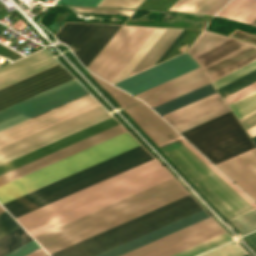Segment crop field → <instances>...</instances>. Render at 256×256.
<instances>
[{
	"label": "crop field",
	"instance_id": "1",
	"mask_svg": "<svg viewBox=\"0 0 256 256\" xmlns=\"http://www.w3.org/2000/svg\"><path fill=\"white\" fill-rule=\"evenodd\" d=\"M186 195L188 193L171 178L35 239L51 254ZM200 210L202 208L188 195L51 256H95Z\"/></svg>",
	"mask_w": 256,
	"mask_h": 256
},
{
	"label": "crop field",
	"instance_id": "2",
	"mask_svg": "<svg viewBox=\"0 0 256 256\" xmlns=\"http://www.w3.org/2000/svg\"><path fill=\"white\" fill-rule=\"evenodd\" d=\"M137 145H139V143L125 132L1 185L0 203L3 204ZM151 159H153V157L139 145L7 202L3 204V206L16 218Z\"/></svg>",
	"mask_w": 256,
	"mask_h": 256
},
{
	"label": "crop field",
	"instance_id": "3",
	"mask_svg": "<svg viewBox=\"0 0 256 256\" xmlns=\"http://www.w3.org/2000/svg\"><path fill=\"white\" fill-rule=\"evenodd\" d=\"M90 75L111 94L152 141L174 132L143 102ZM154 143L228 220L256 209V204L176 132Z\"/></svg>",
	"mask_w": 256,
	"mask_h": 256
},
{
	"label": "crop field",
	"instance_id": "4",
	"mask_svg": "<svg viewBox=\"0 0 256 256\" xmlns=\"http://www.w3.org/2000/svg\"><path fill=\"white\" fill-rule=\"evenodd\" d=\"M169 178L153 159L16 220L35 237Z\"/></svg>",
	"mask_w": 256,
	"mask_h": 256
},
{
	"label": "crop field",
	"instance_id": "5",
	"mask_svg": "<svg viewBox=\"0 0 256 256\" xmlns=\"http://www.w3.org/2000/svg\"><path fill=\"white\" fill-rule=\"evenodd\" d=\"M99 106L85 95L0 132V148ZM111 117L101 106L0 149V165Z\"/></svg>",
	"mask_w": 256,
	"mask_h": 256
},
{
	"label": "crop field",
	"instance_id": "6",
	"mask_svg": "<svg viewBox=\"0 0 256 256\" xmlns=\"http://www.w3.org/2000/svg\"><path fill=\"white\" fill-rule=\"evenodd\" d=\"M207 217L202 210L97 256H119ZM222 233L224 231L209 217L121 256H171Z\"/></svg>",
	"mask_w": 256,
	"mask_h": 256
},
{
	"label": "crop field",
	"instance_id": "7",
	"mask_svg": "<svg viewBox=\"0 0 256 256\" xmlns=\"http://www.w3.org/2000/svg\"><path fill=\"white\" fill-rule=\"evenodd\" d=\"M58 64L45 49L0 68V88ZM73 77L56 65L24 80L0 89V110L62 84Z\"/></svg>",
	"mask_w": 256,
	"mask_h": 256
},
{
	"label": "crop field",
	"instance_id": "8",
	"mask_svg": "<svg viewBox=\"0 0 256 256\" xmlns=\"http://www.w3.org/2000/svg\"><path fill=\"white\" fill-rule=\"evenodd\" d=\"M118 125L111 117L0 166V175ZM125 132L120 125L0 176V185Z\"/></svg>",
	"mask_w": 256,
	"mask_h": 256
},
{
	"label": "crop field",
	"instance_id": "9",
	"mask_svg": "<svg viewBox=\"0 0 256 256\" xmlns=\"http://www.w3.org/2000/svg\"><path fill=\"white\" fill-rule=\"evenodd\" d=\"M181 134L215 164L254 148L231 111Z\"/></svg>",
	"mask_w": 256,
	"mask_h": 256
},
{
	"label": "crop field",
	"instance_id": "10",
	"mask_svg": "<svg viewBox=\"0 0 256 256\" xmlns=\"http://www.w3.org/2000/svg\"><path fill=\"white\" fill-rule=\"evenodd\" d=\"M195 70V69H194ZM188 73V72H187ZM209 83L201 68L136 95L151 107ZM215 93L211 84L153 107L161 116Z\"/></svg>",
	"mask_w": 256,
	"mask_h": 256
},
{
	"label": "crop field",
	"instance_id": "11",
	"mask_svg": "<svg viewBox=\"0 0 256 256\" xmlns=\"http://www.w3.org/2000/svg\"><path fill=\"white\" fill-rule=\"evenodd\" d=\"M155 29L123 26L89 69L112 82Z\"/></svg>",
	"mask_w": 256,
	"mask_h": 256
},
{
	"label": "crop field",
	"instance_id": "12",
	"mask_svg": "<svg viewBox=\"0 0 256 256\" xmlns=\"http://www.w3.org/2000/svg\"><path fill=\"white\" fill-rule=\"evenodd\" d=\"M87 94L71 80L0 111V131Z\"/></svg>",
	"mask_w": 256,
	"mask_h": 256
},
{
	"label": "crop field",
	"instance_id": "13",
	"mask_svg": "<svg viewBox=\"0 0 256 256\" xmlns=\"http://www.w3.org/2000/svg\"><path fill=\"white\" fill-rule=\"evenodd\" d=\"M192 57L212 82L256 60V46L228 38Z\"/></svg>",
	"mask_w": 256,
	"mask_h": 256
},
{
	"label": "crop field",
	"instance_id": "14",
	"mask_svg": "<svg viewBox=\"0 0 256 256\" xmlns=\"http://www.w3.org/2000/svg\"><path fill=\"white\" fill-rule=\"evenodd\" d=\"M120 26L66 23L55 36L61 42L66 43L87 66Z\"/></svg>",
	"mask_w": 256,
	"mask_h": 256
},
{
	"label": "crop field",
	"instance_id": "15",
	"mask_svg": "<svg viewBox=\"0 0 256 256\" xmlns=\"http://www.w3.org/2000/svg\"><path fill=\"white\" fill-rule=\"evenodd\" d=\"M199 68L195 61L186 53L139 74L129 77L115 85L136 95L187 72Z\"/></svg>",
	"mask_w": 256,
	"mask_h": 256
},
{
	"label": "crop field",
	"instance_id": "16",
	"mask_svg": "<svg viewBox=\"0 0 256 256\" xmlns=\"http://www.w3.org/2000/svg\"><path fill=\"white\" fill-rule=\"evenodd\" d=\"M217 95V93L208 96L202 100H199L195 103H192L186 107H183L179 110H176L170 114H167L165 116H163V118L172 115L178 111H181L185 108H188L194 104H197L201 101H204L210 97H213ZM229 111V108L226 106V104L223 102V100L220 98L219 95L210 98L204 102H201L197 105H194L188 109H185L181 112H178L172 116H169L167 118H165L176 130H178L179 132L188 129L192 126H195L199 123H202L208 119H211L215 116H218L222 113H225Z\"/></svg>",
	"mask_w": 256,
	"mask_h": 256
},
{
	"label": "crop field",
	"instance_id": "17",
	"mask_svg": "<svg viewBox=\"0 0 256 256\" xmlns=\"http://www.w3.org/2000/svg\"><path fill=\"white\" fill-rule=\"evenodd\" d=\"M247 194L256 200V149L217 164ZM254 200V201H255Z\"/></svg>",
	"mask_w": 256,
	"mask_h": 256
},
{
	"label": "crop field",
	"instance_id": "18",
	"mask_svg": "<svg viewBox=\"0 0 256 256\" xmlns=\"http://www.w3.org/2000/svg\"><path fill=\"white\" fill-rule=\"evenodd\" d=\"M218 15L250 24L256 18V0H231Z\"/></svg>",
	"mask_w": 256,
	"mask_h": 256
},
{
	"label": "crop field",
	"instance_id": "19",
	"mask_svg": "<svg viewBox=\"0 0 256 256\" xmlns=\"http://www.w3.org/2000/svg\"><path fill=\"white\" fill-rule=\"evenodd\" d=\"M182 30L167 29L166 32L161 36L157 43L150 49L130 75L148 68L150 65L157 62L169 45L174 39L180 34ZM129 75V76H130Z\"/></svg>",
	"mask_w": 256,
	"mask_h": 256
},
{
	"label": "crop field",
	"instance_id": "20",
	"mask_svg": "<svg viewBox=\"0 0 256 256\" xmlns=\"http://www.w3.org/2000/svg\"><path fill=\"white\" fill-rule=\"evenodd\" d=\"M33 240L21 227L0 238V256Z\"/></svg>",
	"mask_w": 256,
	"mask_h": 256
},
{
	"label": "crop field",
	"instance_id": "21",
	"mask_svg": "<svg viewBox=\"0 0 256 256\" xmlns=\"http://www.w3.org/2000/svg\"><path fill=\"white\" fill-rule=\"evenodd\" d=\"M166 29L157 28L155 32L150 36V38L145 42V44L140 48V50L135 54V56L130 60V62L125 66V68L120 72V74L115 78L113 83L125 78L137 65V63L142 59L146 52L151 48V46L159 39V37L164 33Z\"/></svg>",
	"mask_w": 256,
	"mask_h": 256
},
{
	"label": "crop field",
	"instance_id": "22",
	"mask_svg": "<svg viewBox=\"0 0 256 256\" xmlns=\"http://www.w3.org/2000/svg\"><path fill=\"white\" fill-rule=\"evenodd\" d=\"M228 106L239 120L256 111V92Z\"/></svg>",
	"mask_w": 256,
	"mask_h": 256
},
{
	"label": "crop field",
	"instance_id": "23",
	"mask_svg": "<svg viewBox=\"0 0 256 256\" xmlns=\"http://www.w3.org/2000/svg\"><path fill=\"white\" fill-rule=\"evenodd\" d=\"M230 240H233V239H231L226 233H224L220 236H217L213 239H210L206 242H203V243H201L197 246H194L190 249H187V250H185L183 252H180V253H178L176 255H173V256H196V255H198L202 252H205L209 249H212V248H214L216 246H219L223 243H226Z\"/></svg>",
	"mask_w": 256,
	"mask_h": 256
},
{
	"label": "crop field",
	"instance_id": "24",
	"mask_svg": "<svg viewBox=\"0 0 256 256\" xmlns=\"http://www.w3.org/2000/svg\"><path fill=\"white\" fill-rule=\"evenodd\" d=\"M226 38L227 37L204 30V32L201 34L192 48L188 51V53L190 55H194Z\"/></svg>",
	"mask_w": 256,
	"mask_h": 256
},
{
	"label": "crop field",
	"instance_id": "25",
	"mask_svg": "<svg viewBox=\"0 0 256 256\" xmlns=\"http://www.w3.org/2000/svg\"><path fill=\"white\" fill-rule=\"evenodd\" d=\"M234 227L242 234L256 230V210L230 220Z\"/></svg>",
	"mask_w": 256,
	"mask_h": 256
},
{
	"label": "crop field",
	"instance_id": "26",
	"mask_svg": "<svg viewBox=\"0 0 256 256\" xmlns=\"http://www.w3.org/2000/svg\"><path fill=\"white\" fill-rule=\"evenodd\" d=\"M256 81V70L217 89L218 93L221 95V97H225L253 82Z\"/></svg>",
	"mask_w": 256,
	"mask_h": 256
},
{
	"label": "crop field",
	"instance_id": "27",
	"mask_svg": "<svg viewBox=\"0 0 256 256\" xmlns=\"http://www.w3.org/2000/svg\"><path fill=\"white\" fill-rule=\"evenodd\" d=\"M246 252L236 243L232 242L202 256H242ZM244 256H249L248 254Z\"/></svg>",
	"mask_w": 256,
	"mask_h": 256
},
{
	"label": "crop field",
	"instance_id": "28",
	"mask_svg": "<svg viewBox=\"0 0 256 256\" xmlns=\"http://www.w3.org/2000/svg\"><path fill=\"white\" fill-rule=\"evenodd\" d=\"M254 69H256V61L212 82V84H213L214 88L216 89V88H218V87H220V86H222V85H224V84H226V83H228V82H230V81H232V80H234V79H236Z\"/></svg>",
	"mask_w": 256,
	"mask_h": 256
},
{
	"label": "crop field",
	"instance_id": "29",
	"mask_svg": "<svg viewBox=\"0 0 256 256\" xmlns=\"http://www.w3.org/2000/svg\"><path fill=\"white\" fill-rule=\"evenodd\" d=\"M20 227L6 212L0 215V237Z\"/></svg>",
	"mask_w": 256,
	"mask_h": 256
},
{
	"label": "crop field",
	"instance_id": "30",
	"mask_svg": "<svg viewBox=\"0 0 256 256\" xmlns=\"http://www.w3.org/2000/svg\"><path fill=\"white\" fill-rule=\"evenodd\" d=\"M142 0H102L97 6L135 8Z\"/></svg>",
	"mask_w": 256,
	"mask_h": 256
},
{
	"label": "crop field",
	"instance_id": "31",
	"mask_svg": "<svg viewBox=\"0 0 256 256\" xmlns=\"http://www.w3.org/2000/svg\"><path fill=\"white\" fill-rule=\"evenodd\" d=\"M254 91H256V82L247 86V87H245V88H243V89H241V90H239V91H237V92H235V93H233V94H231V95H229V96H227V97H225V98H223V99L226 101V103L228 105V104H230V103H232V102H234V101H236V100H238V99H240V98H242V97H244V96H246V95H248V94H250Z\"/></svg>",
	"mask_w": 256,
	"mask_h": 256
},
{
	"label": "crop field",
	"instance_id": "32",
	"mask_svg": "<svg viewBox=\"0 0 256 256\" xmlns=\"http://www.w3.org/2000/svg\"><path fill=\"white\" fill-rule=\"evenodd\" d=\"M217 0H196L185 12L205 13Z\"/></svg>",
	"mask_w": 256,
	"mask_h": 256
},
{
	"label": "crop field",
	"instance_id": "33",
	"mask_svg": "<svg viewBox=\"0 0 256 256\" xmlns=\"http://www.w3.org/2000/svg\"><path fill=\"white\" fill-rule=\"evenodd\" d=\"M78 12H92V13H110V14H124L131 15L133 11L128 10H115V9H98V8H81V7H71Z\"/></svg>",
	"mask_w": 256,
	"mask_h": 256
},
{
	"label": "crop field",
	"instance_id": "34",
	"mask_svg": "<svg viewBox=\"0 0 256 256\" xmlns=\"http://www.w3.org/2000/svg\"><path fill=\"white\" fill-rule=\"evenodd\" d=\"M38 248H40L39 245L33 240L6 256H25Z\"/></svg>",
	"mask_w": 256,
	"mask_h": 256
},
{
	"label": "crop field",
	"instance_id": "35",
	"mask_svg": "<svg viewBox=\"0 0 256 256\" xmlns=\"http://www.w3.org/2000/svg\"><path fill=\"white\" fill-rule=\"evenodd\" d=\"M101 0H59L58 4L96 6Z\"/></svg>",
	"mask_w": 256,
	"mask_h": 256
},
{
	"label": "crop field",
	"instance_id": "36",
	"mask_svg": "<svg viewBox=\"0 0 256 256\" xmlns=\"http://www.w3.org/2000/svg\"><path fill=\"white\" fill-rule=\"evenodd\" d=\"M195 0H179L169 11L184 12Z\"/></svg>",
	"mask_w": 256,
	"mask_h": 256
},
{
	"label": "crop field",
	"instance_id": "37",
	"mask_svg": "<svg viewBox=\"0 0 256 256\" xmlns=\"http://www.w3.org/2000/svg\"><path fill=\"white\" fill-rule=\"evenodd\" d=\"M240 122L244 126L245 129L255 125L256 124V113L240 120Z\"/></svg>",
	"mask_w": 256,
	"mask_h": 256
},
{
	"label": "crop field",
	"instance_id": "38",
	"mask_svg": "<svg viewBox=\"0 0 256 256\" xmlns=\"http://www.w3.org/2000/svg\"><path fill=\"white\" fill-rule=\"evenodd\" d=\"M229 0H218L206 14H216Z\"/></svg>",
	"mask_w": 256,
	"mask_h": 256
},
{
	"label": "crop field",
	"instance_id": "39",
	"mask_svg": "<svg viewBox=\"0 0 256 256\" xmlns=\"http://www.w3.org/2000/svg\"><path fill=\"white\" fill-rule=\"evenodd\" d=\"M245 238L252 244V246L256 249V232L245 236Z\"/></svg>",
	"mask_w": 256,
	"mask_h": 256
},
{
	"label": "crop field",
	"instance_id": "40",
	"mask_svg": "<svg viewBox=\"0 0 256 256\" xmlns=\"http://www.w3.org/2000/svg\"><path fill=\"white\" fill-rule=\"evenodd\" d=\"M48 255L46 252H44L41 248L32 252L31 254L27 255V256H46Z\"/></svg>",
	"mask_w": 256,
	"mask_h": 256
},
{
	"label": "crop field",
	"instance_id": "41",
	"mask_svg": "<svg viewBox=\"0 0 256 256\" xmlns=\"http://www.w3.org/2000/svg\"><path fill=\"white\" fill-rule=\"evenodd\" d=\"M247 131H248L249 135L251 136V138L256 136V126Z\"/></svg>",
	"mask_w": 256,
	"mask_h": 256
},
{
	"label": "crop field",
	"instance_id": "42",
	"mask_svg": "<svg viewBox=\"0 0 256 256\" xmlns=\"http://www.w3.org/2000/svg\"><path fill=\"white\" fill-rule=\"evenodd\" d=\"M252 140H253V142H254V144L256 146V137L252 138Z\"/></svg>",
	"mask_w": 256,
	"mask_h": 256
},
{
	"label": "crop field",
	"instance_id": "43",
	"mask_svg": "<svg viewBox=\"0 0 256 256\" xmlns=\"http://www.w3.org/2000/svg\"><path fill=\"white\" fill-rule=\"evenodd\" d=\"M251 25L256 26V19L251 23Z\"/></svg>",
	"mask_w": 256,
	"mask_h": 256
},
{
	"label": "crop field",
	"instance_id": "44",
	"mask_svg": "<svg viewBox=\"0 0 256 256\" xmlns=\"http://www.w3.org/2000/svg\"><path fill=\"white\" fill-rule=\"evenodd\" d=\"M3 212H5L3 209H2V207L0 206V214L1 213H3Z\"/></svg>",
	"mask_w": 256,
	"mask_h": 256
},
{
	"label": "crop field",
	"instance_id": "45",
	"mask_svg": "<svg viewBox=\"0 0 256 256\" xmlns=\"http://www.w3.org/2000/svg\"><path fill=\"white\" fill-rule=\"evenodd\" d=\"M49 256V255H48Z\"/></svg>",
	"mask_w": 256,
	"mask_h": 256
}]
</instances>
